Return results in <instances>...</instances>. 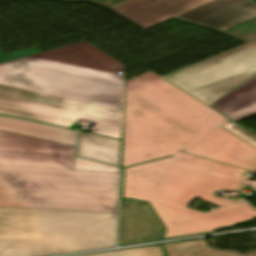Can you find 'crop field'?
<instances>
[{"instance_id": "obj_1", "label": "crop field", "mask_w": 256, "mask_h": 256, "mask_svg": "<svg viewBox=\"0 0 256 256\" xmlns=\"http://www.w3.org/2000/svg\"><path fill=\"white\" fill-rule=\"evenodd\" d=\"M125 66L88 42L0 65V114L71 128L79 119L119 126Z\"/></svg>"}, {"instance_id": "obj_2", "label": "crop field", "mask_w": 256, "mask_h": 256, "mask_svg": "<svg viewBox=\"0 0 256 256\" xmlns=\"http://www.w3.org/2000/svg\"><path fill=\"white\" fill-rule=\"evenodd\" d=\"M232 120L151 71L125 82L122 167L176 154L256 171V144Z\"/></svg>"}, {"instance_id": "obj_3", "label": "crop field", "mask_w": 256, "mask_h": 256, "mask_svg": "<svg viewBox=\"0 0 256 256\" xmlns=\"http://www.w3.org/2000/svg\"><path fill=\"white\" fill-rule=\"evenodd\" d=\"M75 147L0 130V206L117 213L119 173L74 170Z\"/></svg>"}, {"instance_id": "obj_4", "label": "crop field", "mask_w": 256, "mask_h": 256, "mask_svg": "<svg viewBox=\"0 0 256 256\" xmlns=\"http://www.w3.org/2000/svg\"><path fill=\"white\" fill-rule=\"evenodd\" d=\"M124 171L123 198L151 204L167 228L163 239L211 232L256 217V209L244 201L207 213L186 208L195 198L219 207L236 201L213 192L237 191L249 170L181 154Z\"/></svg>"}, {"instance_id": "obj_5", "label": "crop field", "mask_w": 256, "mask_h": 256, "mask_svg": "<svg viewBox=\"0 0 256 256\" xmlns=\"http://www.w3.org/2000/svg\"><path fill=\"white\" fill-rule=\"evenodd\" d=\"M117 214L0 207V256H49L115 246Z\"/></svg>"}, {"instance_id": "obj_6", "label": "crop field", "mask_w": 256, "mask_h": 256, "mask_svg": "<svg viewBox=\"0 0 256 256\" xmlns=\"http://www.w3.org/2000/svg\"><path fill=\"white\" fill-rule=\"evenodd\" d=\"M109 8L145 28L174 17L223 32L256 17L251 0H125Z\"/></svg>"}, {"instance_id": "obj_7", "label": "crop field", "mask_w": 256, "mask_h": 256, "mask_svg": "<svg viewBox=\"0 0 256 256\" xmlns=\"http://www.w3.org/2000/svg\"><path fill=\"white\" fill-rule=\"evenodd\" d=\"M256 74V41L163 77L209 105Z\"/></svg>"}, {"instance_id": "obj_8", "label": "crop field", "mask_w": 256, "mask_h": 256, "mask_svg": "<svg viewBox=\"0 0 256 256\" xmlns=\"http://www.w3.org/2000/svg\"><path fill=\"white\" fill-rule=\"evenodd\" d=\"M163 231L147 203L121 200L119 245L160 239Z\"/></svg>"}, {"instance_id": "obj_9", "label": "crop field", "mask_w": 256, "mask_h": 256, "mask_svg": "<svg viewBox=\"0 0 256 256\" xmlns=\"http://www.w3.org/2000/svg\"><path fill=\"white\" fill-rule=\"evenodd\" d=\"M209 106L234 121L256 114V75Z\"/></svg>"}, {"instance_id": "obj_10", "label": "crop field", "mask_w": 256, "mask_h": 256, "mask_svg": "<svg viewBox=\"0 0 256 256\" xmlns=\"http://www.w3.org/2000/svg\"><path fill=\"white\" fill-rule=\"evenodd\" d=\"M0 129L74 145L77 141L73 131L6 117H0Z\"/></svg>"}, {"instance_id": "obj_11", "label": "crop field", "mask_w": 256, "mask_h": 256, "mask_svg": "<svg viewBox=\"0 0 256 256\" xmlns=\"http://www.w3.org/2000/svg\"><path fill=\"white\" fill-rule=\"evenodd\" d=\"M120 141L80 132L79 156L118 165Z\"/></svg>"}, {"instance_id": "obj_12", "label": "crop field", "mask_w": 256, "mask_h": 256, "mask_svg": "<svg viewBox=\"0 0 256 256\" xmlns=\"http://www.w3.org/2000/svg\"><path fill=\"white\" fill-rule=\"evenodd\" d=\"M168 256H240L206 247L203 240L164 245Z\"/></svg>"}, {"instance_id": "obj_13", "label": "crop field", "mask_w": 256, "mask_h": 256, "mask_svg": "<svg viewBox=\"0 0 256 256\" xmlns=\"http://www.w3.org/2000/svg\"><path fill=\"white\" fill-rule=\"evenodd\" d=\"M81 256H165L160 245L94 253Z\"/></svg>"}, {"instance_id": "obj_14", "label": "crop field", "mask_w": 256, "mask_h": 256, "mask_svg": "<svg viewBox=\"0 0 256 256\" xmlns=\"http://www.w3.org/2000/svg\"><path fill=\"white\" fill-rule=\"evenodd\" d=\"M75 169L77 170H101V171H113L118 172L117 168L88 161L85 159L77 158L76 157V163H75Z\"/></svg>"}, {"instance_id": "obj_15", "label": "crop field", "mask_w": 256, "mask_h": 256, "mask_svg": "<svg viewBox=\"0 0 256 256\" xmlns=\"http://www.w3.org/2000/svg\"><path fill=\"white\" fill-rule=\"evenodd\" d=\"M37 53H41V51L38 50L36 47L10 53L8 55H5L3 51L0 49V63L8 62L11 60L19 59V58L30 56Z\"/></svg>"}, {"instance_id": "obj_16", "label": "crop field", "mask_w": 256, "mask_h": 256, "mask_svg": "<svg viewBox=\"0 0 256 256\" xmlns=\"http://www.w3.org/2000/svg\"><path fill=\"white\" fill-rule=\"evenodd\" d=\"M96 129H98L96 132L92 131L93 134L121 139V128H115V127L99 124L96 127Z\"/></svg>"}, {"instance_id": "obj_17", "label": "crop field", "mask_w": 256, "mask_h": 256, "mask_svg": "<svg viewBox=\"0 0 256 256\" xmlns=\"http://www.w3.org/2000/svg\"><path fill=\"white\" fill-rule=\"evenodd\" d=\"M225 129L235 131L243 136L249 137L252 141L256 142L255 135H253L252 133H250L249 131H247L246 129H244L243 127H241L235 122H232L231 124H229L227 127H225Z\"/></svg>"}, {"instance_id": "obj_18", "label": "crop field", "mask_w": 256, "mask_h": 256, "mask_svg": "<svg viewBox=\"0 0 256 256\" xmlns=\"http://www.w3.org/2000/svg\"><path fill=\"white\" fill-rule=\"evenodd\" d=\"M3 78L1 75H0V79Z\"/></svg>"}]
</instances>
